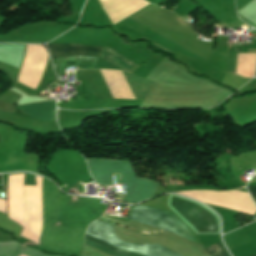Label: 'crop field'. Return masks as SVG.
Masks as SVG:
<instances>
[{
  "instance_id": "8a807250",
  "label": "crop field",
  "mask_w": 256,
  "mask_h": 256,
  "mask_svg": "<svg viewBox=\"0 0 256 256\" xmlns=\"http://www.w3.org/2000/svg\"><path fill=\"white\" fill-rule=\"evenodd\" d=\"M37 186H24L25 222L20 238L37 245L42 222V178L36 176ZM61 193L43 178V219L55 222Z\"/></svg>"
},
{
  "instance_id": "5a996713",
  "label": "crop field",
  "mask_w": 256,
  "mask_h": 256,
  "mask_svg": "<svg viewBox=\"0 0 256 256\" xmlns=\"http://www.w3.org/2000/svg\"><path fill=\"white\" fill-rule=\"evenodd\" d=\"M0 110L14 114V105L0 101Z\"/></svg>"
},
{
  "instance_id": "e52e79f7",
  "label": "crop field",
  "mask_w": 256,
  "mask_h": 256,
  "mask_svg": "<svg viewBox=\"0 0 256 256\" xmlns=\"http://www.w3.org/2000/svg\"><path fill=\"white\" fill-rule=\"evenodd\" d=\"M100 58H102V59H104V60L124 69V70H127V71H129L131 69V67L135 64V63L131 62L130 60L126 59L125 57L121 56L120 54L116 53L115 51L111 50L108 47H105Z\"/></svg>"
},
{
  "instance_id": "3316defc",
  "label": "crop field",
  "mask_w": 256,
  "mask_h": 256,
  "mask_svg": "<svg viewBox=\"0 0 256 256\" xmlns=\"http://www.w3.org/2000/svg\"><path fill=\"white\" fill-rule=\"evenodd\" d=\"M248 190L256 192V187H248ZM251 195H252L254 201H256V193H251Z\"/></svg>"
},
{
  "instance_id": "ac0d7876",
  "label": "crop field",
  "mask_w": 256,
  "mask_h": 256,
  "mask_svg": "<svg viewBox=\"0 0 256 256\" xmlns=\"http://www.w3.org/2000/svg\"><path fill=\"white\" fill-rule=\"evenodd\" d=\"M84 249L108 256H179L159 245H133L119 240L113 226L95 221L87 230Z\"/></svg>"
},
{
  "instance_id": "412701ff",
  "label": "crop field",
  "mask_w": 256,
  "mask_h": 256,
  "mask_svg": "<svg viewBox=\"0 0 256 256\" xmlns=\"http://www.w3.org/2000/svg\"><path fill=\"white\" fill-rule=\"evenodd\" d=\"M51 59L70 55L99 56L103 47L75 45V44H47Z\"/></svg>"
},
{
  "instance_id": "34b2d1b8",
  "label": "crop field",
  "mask_w": 256,
  "mask_h": 256,
  "mask_svg": "<svg viewBox=\"0 0 256 256\" xmlns=\"http://www.w3.org/2000/svg\"><path fill=\"white\" fill-rule=\"evenodd\" d=\"M127 218L175 233L185 239L198 243L192 231L174 213L138 204L133 206Z\"/></svg>"
},
{
  "instance_id": "d8731c3e",
  "label": "crop field",
  "mask_w": 256,
  "mask_h": 256,
  "mask_svg": "<svg viewBox=\"0 0 256 256\" xmlns=\"http://www.w3.org/2000/svg\"><path fill=\"white\" fill-rule=\"evenodd\" d=\"M204 250H206L212 256H227V254L225 253L223 248L220 246V244L205 248Z\"/></svg>"
},
{
  "instance_id": "28ad6ade",
  "label": "crop field",
  "mask_w": 256,
  "mask_h": 256,
  "mask_svg": "<svg viewBox=\"0 0 256 256\" xmlns=\"http://www.w3.org/2000/svg\"><path fill=\"white\" fill-rule=\"evenodd\" d=\"M19 82H21V83H23V84H25V85H27V86H29V87H31V88H33V89H36L35 87H33V86H31V85H28V84H26V83H24V82H22V81H20V80H18Z\"/></svg>"
},
{
  "instance_id": "f4fd0767",
  "label": "crop field",
  "mask_w": 256,
  "mask_h": 256,
  "mask_svg": "<svg viewBox=\"0 0 256 256\" xmlns=\"http://www.w3.org/2000/svg\"><path fill=\"white\" fill-rule=\"evenodd\" d=\"M175 193L181 194V195L189 197V198L197 199V200H199L201 202H204V203L224 207V208L231 209V210L241 212V213L251 215V216H253L254 213L256 212L255 208L239 205V204H236V203L224 201V200H221V199L205 196V195L190 192V191H178V192H175Z\"/></svg>"
},
{
  "instance_id": "d1516ede",
  "label": "crop field",
  "mask_w": 256,
  "mask_h": 256,
  "mask_svg": "<svg viewBox=\"0 0 256 256\" xmlns=\"http://www.w3.org/2000/svg\"><path fill=\"white\" fill-rule=\"evenodd\" d=\"M254 256H256V255H254Z\"/></svg>"
},
{
  "instance_id": "dd49c442",
  "label": "crop field",
  "mask_w": 256,
  "mask_h": 256,
  "mask_svg": "<svg viewBox=\"0 0 256 256\" xmlns=\"http://www.w3.org/2000/svg\"><path fill=\"white\" fill-rule=\"evenodd\" d=\"M22 112L46 122L55 119V102L51 100L18 107Z\"/></svg>"
}]
</instances>
